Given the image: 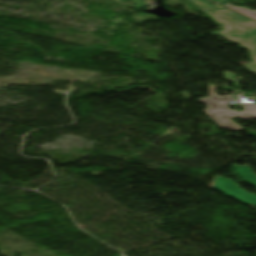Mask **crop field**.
<instances>
[{
    "label": "crop field",
    "mask_w": 256,
    "mask_h": 256,
    "mask_svg": "<svg viewBox=\"0 0 256 256\" xmlns=\"http://www.w3.org/2000/svg\"><path fill=\"white\" fill-rule=\"evenodd\" d=\"M216 23L222 26L215 35L250 50L253 64L245 69L256 74V22L251 21L227 8L206 12Z\"/></svg>",
    "instance_id": "obj_1"
},
{
    "label": "crop field",
    "mask_w": 256,
    "mask_h": 256,
    "mask_svg": "<svg viewBox=\"0 0 256 256\" xmlns=\"http://www.w3.org/2000/svg\"><path fill=\"white\" fill-rule=\"evenodd\" d=\"M209 90V97L199 99L208 105V109L204 110V112L220 127L230 128L233 131L242 130V127L230 120L239 116L237 111L230 110L227 106V103L232 100V97L230 95L223 97L215 96L214 86H209Z\"/></svg>",
    "instance_id": "obj_2"
},
{
    "label": "crop field",
    "mask_w": 256,
    "mask_h": 256,
    "mask_svg": "<svg viewBox=\"0 0 256 256\" xmlns=\"http://www.w3.org/2000/svg\"><path fill=\"white\" fill-rule=\"evenodd\" d=\"M233 168L236 170V172L243 178L244 181H248L250 183H253L256 186V176L254 173L250 170V168L245 166H238L233 165ZM214 186L213 188L244 203V204H256V196L252 195L242 189H240L238 186H236L232 180L230 179H224L222 177H218L214 179Z\"/></svg>",
    "instance_id": "obj_3"
},
{
    "label": "crop field",
    "mask_w": 256,
    "mask_h": 256,
    "mask_svg": "<svg viewBox=\"0 0 256 256\" xmlns=\"http://www.w3.org/2000/svg\"><path fill=\"white\" fill-rule=\"evenodd\" d=\"M189 1H191L194 5H196L198 8L202 10H213V9L222 8L221 6L209 0H189Z\"/></svg>",
    "instance_id": "obj_4"
},
{
    "label": "crop field",
    "mask_w": 256,
    "mask_h": 256,
    "mask_svg": "<svg viewBox=\"0 0 256 256\" xmlns=\"http://www.w3.org/2000/svg\"><path fill=\"white\" fill-rule=\"evenodd\" d=\"M246 109L244 112L239 113L243 120L256 117V104H242Z\"/></svg>",
    "instance_id": "obj_5"
},
{
    "label": "crop field",
    "mask_w": 256,
    "mask_h": 256,
    "mask_svg": "<svg viewBox=\"0 0 256 256\" xmlns=\"http://www.w3.org/2000/svg\"><path fill=\"white\" fill-rule=\"evenodd\" d=\"M228 8L256 21V11L253 12L247 8H244V7L240 8L235 6H231Z\"/></svg>",
    "instance_id": "obj_6"
},
{
    "label": "crop field",
    "mask_w": 256,
    "mask_h": 256,
    "mask_svg": "<svg viewBox=\"0 0 256 256\" xmlns=\"http://www.w3.org/2000/svg\"><path fill=\"white\" fill-rule=\"evenodd\" d=\"M122 1H125V0H122ZM134 5L138 8V9H141L143 6H145L146 4L140 2L139 0H131Z\"/></svg>",
    "instance_id": "obj_7"
},
{
    "label": "crop field",
    "mask_w": 256,
    "mask_h": 256,
    "mask_svg": "<svg viewBox=\"0 0 256 256\" xmlns=\"http://www.w3.org/2000/svg\"><path fill=\"white\" fill-rule=\"evenodd\" d=\"M213 1H215V2H217V3H219V4H221V5H223V6H225V7L231 6L230 4H228V3L226 2L227 0H213Z\"/></svg>",
    "instance_id": "obj_8"
}]
</instances>
